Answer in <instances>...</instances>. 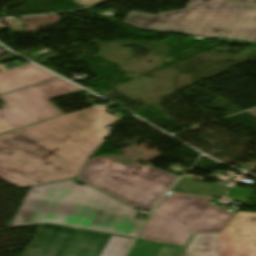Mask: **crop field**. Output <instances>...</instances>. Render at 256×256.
<instances>
[{"mask_svg":"<svg viewBox=\"0 0 256 256\" xmlns=\"http://www.w3.org/2000/svg\"><path fill=\"white\" fill-rule=\"evenodd\" d=\"M98 105L0 136V178L20 188L75 176L120 120Z\"/></svg>","mask_w":256,"mask_h":256,"instance_id":"obj_1","label":"crop field"},{"mask_svg":"<svg viewBox=\"0 0 256 256\" xmlns=\"http://www.w3.org/2000/svg\"><path fill=\"white\" fill-rule=\"evenodd\" d=\"M86 185L69 179L31 188L10 228L53 223L135 237L143 223L136 210Z\"/></svg>","mask_w":256,"mask_h":256,"instance_id":"obj_2","label":"crop field"},{"mask_svg":"<svg viewBox=\"0 0 256 256\" xmlns=\"http://www.w3.org/2000/svg\"><path fill=\"white\" fill-rule=\"evenodd\" d=\"M77 177L129 204L148 210L178 179L151 167H127L101 157L89 159Z\"/></svg>","mask_w":256,"mask_h":256,"instance_id":"obj_3","label":"crop field"},{"mask_svg":"<svg viewBox=\"0 0 256 256\" xmlns=\"http://www.w3.org/2000/svg\"><path fill=\"white\" fill-rule=\"evenodd\" d=\"M244 7L229 0H190L182 10L157 15L130 11L123 23L145 30L224 37Z\"/></svg>","mask_w":256,"mask_h":256,"instance_id":"obj_4","label":"crop field"},{"mask_svg":"<svg viewBox=\"0 0 256 256\" xmlns=\"http://www.w3.org/2000/svg\"><path fill=\"white\" fill-rule=\"evenodd\" d=\"M212 198L174 193L153 210L140 239L185 246L201 214H225L218 205L208 203Z\"/></svg>","mask_w":256,"mask_h":256,"instance_id":"obj_5","label":"crop field"},{"mask_svg":"<svg viewBox=\"0 0 256 256\" xmlns=\"http://www.w3.org/2000/svg\"><path fill=\"white\" fill-rule=\"evenodd\" d=\"M83 91L61 79L0 96L8 107L0 109V135L65 115L49 99Z\"/></svg>","mask_w":256,"mask_h":256,"instance_id":"obj_6","label":"crop field"},{"mask_svg":"<svg viewBox=\"0 0 256 256\" xmlns=\"http://www.w3.org/2000/svg\"><path fill=\"white\" fill-rule=\"evenodd\" d=\"M182 256H256V213L237 212L219 233L194 234Z\"/></svg>","mask_w":256,"mask_h":256,"instance_id":"obj_7","label":"crop field"},{"mask_svg":"<svg viewBox=\"0 0 256 256\" xmlns=\"http://www.w3.org/2000/svg\"><path fill=\"white\" fill-rule=\"evenodd\" d=\"M110 235L41 225L24 256H99Z\"/></svg>","mask_w":256,"mask_h":256,"instance_id":"obj_8","label":"crop field"},{"mask_svg":"<svg viewBox=\"0 0 256 256\" xmlns=\"http://www.w3.org/2000/svg\"><path fill=\"white\" fill-rule=\"evenodd\" d=\"M54 77L56 76L31 63L9 71L0 65V94Z\"/></svg>","mask_w":256,"mask_h":256,"instance_id":"obj_9","label":"crop field"},{"mask_svg":"<svg viewBox=\"0 0 256 256\" xmlns=\"http://www.w3.org/2000/svg\"><path fill=\"white\" fill-rule=\"evenodd\" d=\"M225 38L246 40L250 41V44H256V9L248 6Z\"/></svg>","mask_w":256,"mask_h":256,"instance_id":"obj_10","label":"crop field"},{"mask_svg":"<svg viewBox=\"0 0 256 256\" xmlns=\"http://www.w3.org/2000/svg\"><path fill=\"white\" fill-rule=\"evenodd\" d=\"M182 246L136 239L127 256H179Z\"/></svg>","mask_w":256,"mask_h":256,"instance_id":"obj_11","label":"crop field"},{"mask_svg":"<svg viewBox=\"0 0 256 256\" xmlns=\"http://www.w3.org/2000/svg\"><path fill=\"white\" fill-rule=\"evenodd\" d=\"M229 188L230 187L228 186L194 181V180H189L187 178L182 177L171 189V191L204 195V196H214V197L221 198Z\"/></svg>","mask_w":256,"mask_h":256,"instance_id":"obj_12","label":"crop field"},{"mask_svg":"<svg viewBox=\"0 0 256 256\" xmlns=\"http://www.w3.org/2000/svg\"><path fill=\"white\" fill-rule=\"evenodd\" d=\"M233 215H202L193 233L219 232Z\"/></svg>","mask_w":256,"mask_h":256,"instance_id":"obj_13","label":"crop field"},{"mask_svg":"<svg viewBox=\"0 0 256 256\" xmlns=\"http://www.w3.org/2000/svg\"><path fill=\"white\" fill-rule=\"evenodd\" d=\"M133 239L112 235L100 256H124Z\"/></svg>","mask_w":256,"mask_h":256,"instance_id":"obj_14","label":"crop field"},{"mask_svg":"<svg viewBox=\"0 0 256 256\" xmlns=\"http://www.w3.org/2000/svg\"><path fill=\"white\" fill-rule=\"evenodd\" d=\"M253 191L254 189L233 187L226 197L244 202Z\"/></svg>","mask_w":256,"mask_h":256,"instance_id":"obj_15","label":"crop field"},{"mask_svg":"<svg viewBox=\"0 0 256 256\" xmlns=\"http://www.w3.org/2000/svg\"><path fill=\"white\" fill-rule=\"evenodd\" d=\"M80 4H82L84 7H88L91 5H94L102 0H77Z\"/></svg>","mask_w":256,"mask_h":256,"instance_id":"obj_16","label":"crop field"},{"mask_svg":"<svg viewBox=\"0 0 256 256\" xmlns=\"http://www.w3.org/2000/svg\"><path fill=\"white\" fill-rule=\"evenodd\" d=\"M239 1H243V2L249 3L253 6H256V0H239Z\"/></svg>","mask_w":256,"mask_h":256,"instance_id":"obj_17","label":"crop field"},{"mask_svg":"<svg viewBox=\"0 0 256 256\" xmlns=\"http://www.w3.org/2000/svg\"><path fill=\"white\" fill-rule=\"evenodd\" d=\"M7 51H4V50H0V55L6 53Z\"/></svg>","mask_w":256,"mask_h":256,"instance_id":"obj_18","label":"crop field"},{"mask_svg":"<svg viewBox=\"0 0 256 256\" xmlns=\"http://www.w3.org/2000/svg\"><path fill=\"white\" fill-rule=\"evenodd\" d=\"M246 7H247V5H246ZM246 7H245V8H246ZM238 18H239V17H238ZM236 21H237V20H236ZM234 24H235V23H234ZM232 27H233V26H232ZM230 30H231V29H230ZM230 30H228L226 33L228 34Z\"/></svg>","mask_w":256,"mask_h":256,"instance_id":"obj_19","label":"crop field"}]
</instances>
